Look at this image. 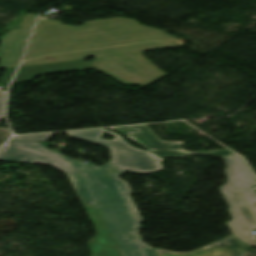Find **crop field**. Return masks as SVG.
I'll use <instances>...</instances> for the list:
<instances>
[{
  "instance_id": "crop-field-1",
  "label": "crop field",
  "mask_w": 256,
  "mask_h": 256,
  "mask_svg": "<svg viewBox=\"0 0 256 256\" xmlns=\"http://www.w3.org/2000/svg\"><path fill=\"white\" fill-rule=\"evenodd\" d=\"M40 21L22 66L96 57L92 67L122 85L147 86L167 76L145 60L142 51L182 46L180 40L132 19L90 21L80 27Z\"/></svg>"
},
{
  "instance_id": "crop-field-2",
  "label": "crop field",
  "mask_w": 256,
  "mask_h": 256,
  "mask_svg": "<svg viewBox=\"0 0 256 256\" xmlns=\"http://www.w3.org/2000/svg\"><path fill=\"white\" fill-rule=\"evenodd\" d=\"M46 142L9 141L0 150L1 161L52 165L66 172L99 229L98 242H90L93 256H157L143 243L138 231L142 218L135 207L127 181L119 178L123 170L107 162L101 167L71 160L47 149ZM87 208V206H86Z\"/></svg>"
},
{
  "instance_id": "crop-field-3",
  "label": "crop field",
  "mask_w": 256,
  "mask_h": 256,
  "mask_svg": "<svg viewBox=\"0 0 256 256\" xmlns=\"http://www.w3.org/2000/svg\"><path fill=\"white\" fill-rule=\"evenodd\" d=\"M109 133L116 138L111 141L103 140L100 136ZM68 136L105 146L110 149L111 163L124 171L137 173H152L162 169L160 164L162 158L136 147L130 146L123 138L113 132L104 129L91 131L67 132Z\"/></svg>"
},
{
  "instance_id": "crop-field-4",
  "label": "crop field",
  "mask_w": 256,
  "mask_h": 256,
  "mask_svg": "<svg viewBox=\"0 0 256 256\" xmlns=\"http://www.w3.org/2000/svg\"><path fill=\"white\" fill-rule=\"evenodd\" d=\"M229 205V213L232 215L227 226L234 236L250 246H256V237L251 230L256 229V222L250 214L238 190L221 192Z\"/></svg>"
},
{
  "instance_id": "crop-field-5",
  "label": "crop field",
  "mask_w": 256,
  "mask_h": 256,
  "mask_svg": "<svg viewBox=\"0 0 256 256\" xmlns=\"http://www.w3.org/2000/svg\"><path fill=\"white\" fill-rule=\"evenodd\" d=\"M35 17V14L25 15L20 24L21 30H11L4 34L0 43V69L17 66Z\"/></svg>"
},
{
  "instance_id": "crop-field-6",
  "label": "crop field",
  "mask_w": 256,
  "mask_h": 256,
  "mask_svg": "<svg viewBox=\"0 0 256 256\" xmlns=\"http://www.w3.org/2000/svg\"><path fill=\"white\" fill-rule=\"evenodd\" d=\"M159 256H256V251L247 247L233 237H228L216 243L191 253H176L156 249Z\"/></svg>"
},
{
  "instance_id": "crop-field-7",
  "label": "crop field",
  "mask_w": 256,
  "mask_h": 256,
  "mask_svg": "<svg viewBox=\"0 0 256 256\" xmlns=\"http://www.w3.org/2000/svg\"><path fill=\"white\" fill-rule=\"evenodd\" d=\"M227 169V181L224 186H221V191L250 188L256 185V178L242 161L239 155H232L221 158Z\"/></svg>"
},
{
  "instance_id": "crop-field-8",
  "label": "crop field",
  "mask_w": 256,
  "mask_h": 256,
  "mask_svg": "<svg viewBox=\"0 0 256 256\" xmlns=\"http://www.w3.org/2000/svg\"><path fill=\"white\" fill-rule=\"evenodd\" d=\"M91 65H92V62L85 63L82 60H78V61H71V62L25 66L20 68L14 82L29 81V80H32L36 75L43 74V73L63 72V71L76 70V69H87V68H90Z\"/></svg>"
},
{
  "instance_id": "crop-field-9",
  "label": "crop field",
  "mask_w": 256,
  "mask_h": 256,
  "mask_svg": "<svg viewBox=\"0 0 256 256\" xmlns=\"http://www.w3.org/2000/svg\"><path fill=\"white\" fill-rule=\"evenodd\" d=\"M115 129L123 132L130 139L145 146L147 149L149 148H154V149L181 148L183 145V142H176V143L160 142L157 139V137L151 132V130L145 125L121 127V128H115Z\"/></svg>"
},
{
  "instance_id": "crop-field-10",
  "label": "crop field",
  "mask_w": 256,
  "mask_h": 256,
  "mask_svg": "<svg viewBox=\"0 0 256 256\" xmlns=\"http://www.w3.org/2000/svg\"><path fill=\"white\" fill-rule=\"evenodd\" d=\"M150 152L162 157V158H186L188 152L185 151H153ZM191 154H200V155H211L207 153H191ZM214 156V155H212Z\"/></svg>"
},
{
  "instance_id": "crop-field-11",
  "label": "crop field",
  "mask_w": 256,
  "mask_h": 256,
  "mask_svg": "<svg viewBox=\"0 0 256 256\" xmlns=\"http://www.w3.org/2000/svg\"><path fill=\"white\" fill-rule=\"evenodd\" d=\"M52 134H42V135H32V136H17L13 138L12 140H17V141H46L48 137H50Z\"/></svg>"
},
{
  "instance_id": "crop-field-12",
  "label": "crop field",
  "mask_w": 256,
  "mask_h": 256,
  "mask_svg": "<svg viewBox=\"0 0 256 256\" xmlns=\"http://www.w3.org/2000/svg\"><path fill=\"white\" fill-rule=\"evenodd\" d=\"M242 193L256 216V193L254 189L242 190Z\"/></svg>"
},
{
  "instance_id": "crop-field-13",
  "label": "crop field",
  "mask_w": 256,
  "mask_h": 256,
  "mask_svg": "<svg viewBox=\"0 0 256 256\" xmlns=\"http://www.w3.org/2000/svg\"><path fill=\"white\" fill-rule=\"evenodd\" d=\"M10 137V131L8 128H0V145L7 141Z\"/></svg>"
},
{
  "instance_id": "crop-field-14",
  "label": "crop field",
  "mask_w": 256,
  "mask_h": 256,
  "mask_svg": "<svg viewBox=\"0 0 256 256\" xmlns=\"http://www.w3.org/2000/svg\"><path fill=\"white\" fill-rule=\"evenodd\" d=\"M15 69L16 68H12V69H7L6 70L5 75H4V77H3L2 81H1L2 83L6 84V86H5L3 91L6 90V87H7L8 83H9V81H10V79H11V77H12L14 71H15Z\"/></svg>"
},
{
  "instance_id": "crop-field-15",
  "label": "crop field",
  "mask_w": 256,
  "mask_h": 256,
  "mask_svg": "<svg viewBox=\"0 0 256 256\" xmlns=\"http://www.w3.org/2000/svg\"><path fill=\"white\" fill-rule=\"evenodd\" d=\"M158 150H161V149H158ZM165 150H181V149H165ZM207 153L215 154V155H217L219 157H224V156H228V155L234 154V153H232L228 149L220 150V151H216V152H207Z\"/></svg>"
},
{
  "instance_id": "crop-field-16",
  "label": "crop field",
  "mask_w": 256,
  "mask_h": 256,
  "mask_svg": "<svg viewBox=\"0 0 256 256\" xmlns=\"http://www.w3.org/2000/svg\"><path fill=\"white\" fill-rule=\"evenodd\" d=\"M4 99H5V92H0V120L3 118Z\"/></svg>"
}]
</instances>
